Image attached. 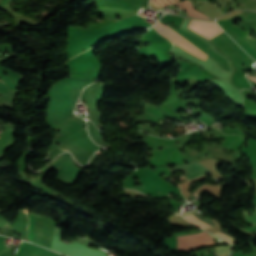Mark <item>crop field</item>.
I'll return each instance as SVG.
<instances>
[{"label": "crop field", "instance_id": "8a807250", "mask_svg": "<svg viewBox=\"0 0 256 256\" xmlns=\"http://www.w3.org/2000/svg\"><path fill=\"white\" fill-rule=\"evenodd\" d=\"M27 214L29 217L27 239L50 249L51 239L56 223L54 220L47 217L30 213Z\"/></svg>", "mask_w": 256, "mask_h": 256}, {"label": "crop field", "instance_id": "ac0d7876", "mask_svg": "<svg viewBox=\"0 0 256 256\" xmlns=\"http://www.w3.org/2000/svg\"><path fill=\"white\" fill-rule=\"evenodd\" d=\"M154 28L160 32L162 35L168 37L171 39L176 45H178L180 48L202 58L206 59L208 56L205 55L202 51H200L197 47H195L192 43H190L188 40H186L184 37H182L180 34L175 32L173 29L170 27L157 22L154 25ZM203 60V61H204Z\"/></svg>", "mask_w": 256, "mask_h": 256}, {"label": "crop field", "instance_id": "34b2d1b8", "mask_svg": "<svg viewBox=\"0 0 256 256\" xmlns=\"http://www.w3.org/2000/svg\"><path fill=\"white\" fill-rule=\"evenodd\" d=\"M189 29L195 31L196 33L202 35L207 39H211L223 32L216 23L196 21L192 20Z\"/></svg>", "mask_w": 256, "mask_h": 256}, {"label": "crop field", "instance_id": "412701ff", "mask_svg": "<svg viewBox=\"0 0 256 256\" xmlns=\"http://www.w3.org/2000/svg\"><path fill=\"white\" fill-rule=\"evenodd\" d=\"M33 255H40V256H61L54 252L48 251L41 247H38L34 244L22 242L18 248L17 253L13 256H33Z\"/></svg>", "mask_w": 256, "mask_h": 256}, {"label": "crop field", "instance_id": "f4fd0767", "mask_svg": "<svg viewBox=\"0 0 256 256\" xmlns=\"http://www.w3.org/2000/svg\"><path fill=\"white\" fill-rule=\"evenodd\" d=\"M175 170H182L185 173L187 180L198 177L205 173H211L199 162L176 166L175 168L171 169V172Z\"/></svg>", "mask_w": 256, "mask_h": 256}, {"label": "crop field", "instance_id": "dd49c442", "mask_svg": "<svg viewBox=\"0 0 256 256\" xmlns=\"http://www.w3.org/2000/svg\"><path fill=\"white\" fill-rule=\"evenodd\" d=\"M99 84H103V83H99ZM99 84L94 85L93 87L89 88L86 91L85 102L89 104L91 109L96 108L95 106L102 99V93L104 89L103 85H106V84H103V85H99Z\"/></svg>", "mask_w": 256, "mask_h": 256}, {"label": "crop field", "instance_id": "e52e79f7", "mask_svg": "<svg viewBox=\"0 0 256 256\" xmlns=\"http://www.w3.org/2000/svg\"><path fill=\"white\" fill-rule=\"evenodd\" d=\"M175 4H177L179 6V9H186L188 11V16L201 17V18H209L207 15L197 11L193 7V5L189 2V0H186L185 2H177Z\"/></svg>", "mask_w": 256, "mask_h": 256}, {"label": "crop field", "instance_id": "d8731c3e", "mask_svg": "<svg viewBox=\"0 0 256 256\" xmlns=\"http://www.w3.org/2000/svg\"><path fill=\"white\" fill-rule=\"evenodd\" d=\"M254 213H256V210L254 212H252L251 214H254ZM243 214H244V219L248 224L249 223H252V224L256 223V215L255 216H250L249 215L250 213H247L245 210L243 211Z\"/></svg>", "mask_w": 256, "mask_h": 256}, {"label": "crop field", "instance_id": "5a996713", "mask_svg": "<svg viewBox=\"0 0 256 256\" xmlns=\"http://www.w3.org/2000/svg\"><path fill=\"white\" fill-rule=\"evenodd\" d=\"M215 248L218 251V252H216V254H218L219 256H224V255L229 254L228 253V246H218V247H215Z\"/></svg>", "mask_w": 256, "mask_h": 256}, {"label": "crop field", "instance_id": "3316defc", "mask_svg": "<svg viewBox=\"0 0 256 256\" xmlns=\"http://www.w3.org/2000/svg\"><path fill=\"white\" fill-rule=\"evenodd\" d=\"M0 78L6 83V85L10 88V90H15V87L13 86L10 79L7 76H4L1 71H0Z\"/></svg>", "mask_w": 256, "mask_h": 256}, {"label": "crop field", "instance_id": "28ad6ade", "mask_svg": "<svg viewBox=\"0 0 256 256\" xmlns=\"http://www.w3.org/2000/svg\"><path fill=\"white\" fill-rule=\"evenodd\" d=\"M7 91H9V90L7 89V87L5 86V84L0 83V92H1V93H5V92H7Z\"/></svg>", "mask_w": 256, "mask_h": 256}, {"label": "crop field", "instance_id": "d1516ede", "mask_svg": "<svg viewBox=\"0 0 256 256\" xmlns=\"http://www.w3.org/2000/svg\"><path fill=\"white\" fill-rule=\"evenodd\" d=\"M251 80L255 81L256 82V77H250L248 76Z\"/></svg>", "mask_w": 256, "mask_h": 256}]
</instances>
